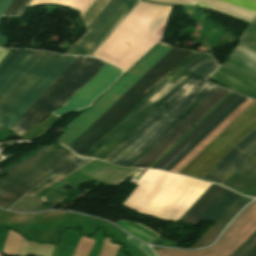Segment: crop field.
I'll list each match as a JSON object with an SVG mask.
<instances>
[{
    "instance_id": "obj_8",
    "label": "crop field",
    "mask_w": 256,
    "mask_h": 256,
    "mask_svg": "<svg viewBox=\"0 0 256 256\" xmlns=\"http://www.w3.org/2000/svg\"><path fill=\"white\" fill-rule=\"evenodd\" d=\"M58 56L35 51L0 89V120Z\"/></svg>"
},
{
    "instance_id": "obj_20",
    "label": "crop field",
    "mask_w": 256,
    "mask_h": 256,
    "mask_svg": "<svg viewBox=\"0 0 256 256\" xmlns=\"http://www.w3.org/2000/svg\"><path fill=\"white\" fill-rule=\"evenodd\" d=\"M126 241H128L129 243H131L134 246H136L139 249H141L147 256H156L155 253L151 250V248H149L145 244H143V243H141V242L131 238L130 236L127 237Z\"/></svg>"
},
{
    "instance_id": "obj_17",
    "label": "crop field",
    "mask_w": 256,
    "mask_h": 256,
    "mask_svg": "<svg viewBox=\"0 0 256 256\" xmlns=\"http://www.w3.org/2000/svg\"><path fill=\"white\" fill-rule=\"evenodd\" d=\"M117 224H119L120 226H122L123 228H125L126 230L131 232L133 235H135L149 243L160 236V235L154 233L153 231L147 229L146 227H144L140 224H137V223L120 220L119 222H117Z\"/></svg>"
},
{
    "instance_id": "obj_6",
    "label": "crop field",
    "mask_w": 256,
    "mask_h": 256,
    "mask_svg": "<svg viewBox=\"0 0 256 256\" xmlns=\"http://www.w3.org/2000/svg\"><path fill=\"white\" fill-rule=\"evenodd\" d=\"M89 1L90 0H31L28 5L58 3L78 9L81 12ZM137 1L138 0H91L81 12L82 18L89 31L70 48L67 54L88 56Z\"/></svg>"
},
{
    "instance_id": "obj_4",
    "label": "crop field",
    "mask_w": 256,
    "mask_h": 256,
    "mask_svg": "<svg viewBox=\"0 0 256 256\" xmlns=\"http://www.w3.org/2000/svg\"><path fill=\"white\" fill-rule=\"evenodd\" d=\"M256 127V101L215 137L179 172L202 178ZM256 152V128L240 141L203 179L222 184Z\"/></svg>"
},
{
    "instance_id": "obj_2",
    "label": "crop field",
    "mask_w": 256,
    "mask_h": 256,
    "mask_svg": "<svg viewBox=\"0 0 256 256\" xmlns=\"http://www.w3.org/2000/svg\"><path fill=\"white\" fill-rule=\"evenodd\" d=\"M172 49L159 43L92 107L71 121L58 140L69 147ZM191 53L174 48L69 148L83 155Z\"/></svg>"
},
{
    "instance_id": "obj_14",
    "label": "crop field",
    "mask_w": 256,
    "mask_h": 256,
    "mask_svg": "<svg viewBox=\"0 0 256 256\" xmlns=\"http://www.w3.org/2000/svg\"><path fill=\"white\" fill-rule=\"evenodd\" d=\"M34 51L10 49L0 61V88L19 69Z\"/></svg>"
},
{
    "instance_id": "obj_18",
    "label": "crop field",
    "mask_w": 256,
    "mask_h": 256,
    "mask_svg": "<svg viewBox=\"0 0 256 256\" xmlns=\"http://www.w3.org/2000/svg\"><path fill=\"white\" fill-rule=\"evenodd\" d=\"M30 0H14L3 15L20 16Z\"/></svg>"
},
{
    "instance_id": "obj_7",
    "label": "crop field",
    "mask_w": 256,
    "mask_h": 256,
    "mask_svg": "<svg viewBox=\"0 0 256 256\" xmlns=\"http://www.w3.org/2000/svg\"><path fill=\"white\" fill-rule=\"evenodd\" d=\"M224 190L225 188L213 185L181 221L193 224ZM238 197L239 195L226 189L194 225L198 226L203 219L214 223ZM241 198L242 196L190 248H199L213 243L225 225L246 204L240 201Z\"/></svg>"
},
{
    "instance_id": "obj_9",
    "label": "crop field",
    "mask_w": 256,
    "mask_h": 256,
    "mask_svg": "<svg viewBox=\"0 0 256 256\" xmlns=\"http://www.w3.org/2000/svg\"><path fill=\"white\" fill-rule=\"evenodd\" d=\"M239 95L233 93L227 98L207 119H205L193 132H191L180 144H178L158 165L154 168L162 169L169 163L192 139H194L204 128L215 120ZM246 97L240 96L234 101L215 121L204 129L193 141H191L169 164L163 169L170 171L185 156H187L213 129H215L229 114H231Z\"/></svg>"
},
{
    "instance_id": "obj_19",
    "label": "crop field",
    "mask_w": 256,
    "mask_h": 256,
    "mask_svg": "<svg viewBox=\"0 0 256 256\" xmlns=\"http://www.w3.org/2000/svg\"><path fill=\"white\" fill-rule=\"evenodd\" d=\"M255 247H256V233L234 256H248L255 249ZM249 256H256V249Z\"/></svg>"
},
{
    "instance_id": "obj_16",
    "label": "crop field",
    "mask_w": 256,
    "mask_h": 256,
    "mask_svg": "<svg viewBox=\"0 0 256 256\" xmlns=\"http://www.w3.org/2000/svg\"><path fill=\"white\" fill-rule=\"evenodd\" d=\"M153 1H158V2H163V3H172V4H185V5H192V3L194 1H196V2L202 3L204 5H207V6H210V7L219 9V10H222L224 12H227V13H230V14L242 17V18L250 20V21H252L253 18L255 17V15H256V13H253L251 11H248V10L242 9L240 7L231 5V4L223 2L221 0H216V1H219L221 3H224V4H227V5L233 6L235 8L247 11V12L255 14V15L249 14L247 12L235 9L233 7L221 4V3L213 1V0H153Z\"/></svg>"
},
{
    "instance_id": "obj_10",
    "label": "crop field",
    "mask_w": 256,
    "mask_h": 256,
    "mask_svg": "<svg viewBox=\"0 0 256 256\" xmlns=\"http://www.w3.org/2000/svg\"><path fill=\"white\" fill-rule=\"evenodd\" d=\"M228 93L229 91L217 87L133 167L149 168Z\"/></svg>"
},
{
    "instance_id": "obj_15",
    "label": "crop field",
    "mask_w": 256,
    "mask_h": 256,
    "mask_svg": "<svg viewBox=\"0 0 256 256\" xmlns=\"http://www.w3.org/2000/svg\"><path fill=\"white\" fill-rule=\"evenodd\" d=\"M210 79L256 96V82L219 68Z\"/></svg>"
},
{
    "instance_id": "obj_12",
    "label": "crop field",
    "mask_w": 256,
    "mask_h": 256,
    "mask_svg": "<svg viewBox=\"0 0 256 256\" xmlns=\"http://www.w3.org/2000/svg\"><path fill=\"white\" fill-rule=\"evenodd\" d=\"M90 160L92 159L77 156L73 152L70 153L69 155L49 166L42 172L22 183L15 189L0 197V206L4 207L8 205L12 201L16 200L17 198L32 190L36 186L40 185L41 183L47 182L59 173L63 177L68 175L69 173L76 170Z\"/></svg>"
},
{
    "instance_id": "obj_21",
    "label": "crop field",
    "mask_w": 256,
    "mask_h": 256,
    "mask_svg": "<svg viewBox=\"0 0 256 256\" xmlns=\"http://www.w3.org/2000/svg\"><path fill=\"white\" fill-rule=\"evenodd\" d=\"M13 0H0V17Z\"/></svg>"
},
{
    "instance_id": "obj_1",
    "label": "crop field",
    "mask_w": 256,
    "mask_h": 256,
    "mask_svg": "<svg viewBox=\"0 0 256 256\" xmlns=\"http://www.w3.org/2000/svg\"><path fill=\"white\" fill-rule=\"evenodd\" d=\"M75 57L68 56L65 61L63 60L64 62L62 61L63 63L61 65L53 63L4 116L0 123L11 129ZM104 64L105 62L99 59L77 56L11 130L21 136L53 109L60 107ZM121 73L122 70L106 63L62 107L54 110L52 115L60 117L66 112L87 107Z\"/></svg>"
},
{
    "instance_id": "obj_5",
    "label": "crop field",
    "mask_w": 256,
    "mask_h": 256,
    "mask_svg": "<svg viewBox=\"0 0 256 256\" xmlns=\"http://www.w3.org/2000/svg\"><path fill=\"white\" fill-rule=\"evenodd\" d=\"M210 58L193 52L84 155L105 158Z\"/></svg>"
},
{
    "instance_id": "obj_3",
    "label": "crop field",
    "mask_w": 256,
    "mask_h": 256,
    "mask_svg": "<svg viewBox=\"0 0 256 256\" xmlns=\"http://www.w3.org/2000/svg\"><path fill=\"white\" fill-rule=\"evenodd\" d=\"M218 66L211 58L104 161L132 167L216 88L204 79Z\"/></svg>"
},
{
    "instance_id": "obj_13",
    "label": "crop field",
    "mask_w": 256,
    "mask_h": 256,
    "mask_svg": "<svg viewBox=\"0 0 256 256\" xmlns=\"http://www.w3.org/2000/svg\"><path fill=\"white\" fill-rule=\"evenodd\" d=\"M222 67L256 80V20L245 31Z\"/></svg>"
},
{
    "instance_id": "obj_11",
    "label": "crop field",
    "mask_w": 256,
    "mask_h": 256,
    "mask_svg": "<svg viewBox=\"0 0 256 256\" xmlns=\"http://www.w3.org/2000/svg\"><path fill=\"white\" fill-rule=\"evenodd\" d=\"M70 152L72 151L61 144L57 148L47 146L43 147L33 155L6 171L8 174L0 178V196Z\"/></svg>"
}]
</instances>
